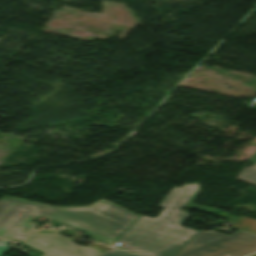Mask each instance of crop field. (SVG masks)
<instances>
[{
  "mask_svg": "<svg viewBox=\"0 0 256 256\" xmlns=\"http://www.w3.org/2000/svg\"><path fill=\"white\" fill-rule=\"evenodd\" d=\"M36 216L51 217L112 244L138 217L104 200L91 207L52 208L24 200L0 199V238L21 239L34 230Z\"/></svg>",
  "mask_w": 256,
  "mask_h": 256,
  "instance_id": "8a807250",
  "label": "crop field"
},
{
  "mask_svg": "<svg viewBox=\"0 0 256 256\" xmlns=\"http://www.w3.org/2000/svg\"><path fill=\"white\" fill-rule=\"evenodd\" d=\"M198 183L173 187L158 206L156 218L139 216L116 240L120 248L146 256H175L199 231L181 226L189 215L182 207L216 215L218 209L193 204L201 195Z\"/></svg>",
  "mask_w": 256,
  "mask_h": 256,
  "instance_id": "ac0d7876",
  "label": "crop field"
},
{
  "mask_svg": "<svg viewBox=\"0 0 256 256\" xmlns=\"http://www.w3.org/2000/svg\"><path fill=\"white\" fill-rule=\"evenodd\" d=\"M256 251V236L235 230L230 236L199 232L176 256H243Z\"/></svg>",
  "mask_w": 256,
  "mask_h": 256,
  "instance_id": "34b2d1b8",
  "label": "crop field"
},
{
  "mask_svg": "<svg viewBox=\"0 0 256 256\" xmlns=\"http://www.w3.org/2000/svg\"><path fill=\"white\" fill-rule=\"evenodd\" d=\"M22 243L45 253L44 256H101L103 254L95 248L79 246L56 232L48 234L33 232L27 235Z\"/></svg>",
  "mask_w": 256,
  "mask_h": 256,
  "instance_id": "412701ff",
  "label": "crop field"
},
{
  "mask_svg": "<svg viewBox=\"0 0 256 256\" xmlns=\"http://www.w3.org/2000/svg\"><path fill=\"white\" fill-rule=\"evenodd\" d=\"M231 227L256 234V220L242 216Z\"/></svg>",
  "mask_w": 256,
  "mask_h": 256,
  "instance_id": "f4fd0767",
  "label": "crop field"
},
{
  "mask_svg": "<svg viewBox=\"0 0 256 256\" xmlns=\"http://www.w3.org/2000/svg\"><path fill=\"white\" fill-rule=\"evenodd\" d=\"M250 161L255 163L254 166L250 168L242 169L238 178L256 183V150L252 155Z\"/></svg>",
  "mask_w": 256,
  "mask_h": 256,
  "instance_id": "dd49c442",
  "label": "crop field"
},
{
  "mask_svg": "<svg viewBox=\"0 0 256 256\" xmlns=\"http://www.w3.org/2000/svg\"><path fill=\"white\" fill-rule=\"evenodd\" d=\"M102 256H136L129 253L116 250L115 252H105Z\"/></svg>",
  "mask_w": 256,
  "mask_h": 256,
  "instance_id": "e52e79f7",
  "label": "crop field"
},
{
  "mask_svg": "<svg viewBox=\"0 0 256 256\" xmlns=\"http://www.w3.org/2000/svg\"><path fill=\"white\" fill-rule=\"evenodd\" d=\"M5 242V240L0 242V256L9 248Z\"/></svg>",
  "mask_w": 256,
  "mask_h": 256,
  "instance_id": "d8731c3e",
  "label": "crop field"
},
{
  "mask_svg": "<svg viewBox=\"0 0 256 256\" xmlns=\"http://www.w3.org/2000/svg\"><path fill=\"white\" fill-rule=\"evenodd\" d=\"M251 256H256V254H254V255H251Z\"/></svg>",
  "mask_w": 256,
  "mask_h": 256,
  "instance_id": "5a996713",
  "label": "crop field"
}]
</instances>
